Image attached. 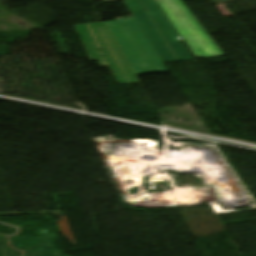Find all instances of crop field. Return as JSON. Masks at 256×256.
<instances>
[{
    "mask_svg": "<svg viewBox=\"0 0 256 256\" xmlns=\"http://www.w3.org/2000/svg\"><path fill=\"white\" fill-rule=\"evenodd\" d=\"M164 63L192 59L154 0H125Z\"/></svg>",
    "mask_w": 256,
    "mask_h": 256,
    "instance_id": "crop-field-1",
    "label": "crop field"
},
{
    "mask_svg": "<svg viewBox=\"0 0 256 256\" xmlns=\"http://www.w3.org/2000/svg\"><path fill=\"white\" fill-rule=\"evenodd\" d=\"M101 48V53L111 68L119 84L139 83L136 75L121 53L114 39L107 30L104 22L89 24ZM91 59H98L101 66H106L98 47L86 24L75 26Z\"/></svg>",
    "mask_w": 256,
    "mask_h": 256,
    "instance_id": "crop-field-3",
    "label": "crop field"
},
{
    "mask_svg": "<svg viewBox=\"0 0 256 256\" xmlns=\"http://www.w3.org/2000/svg\"><path fill=\"white\" fill-rule=\"evenodd\" d=\"M196 58L223 55L181 0H155Z\"/></svg>",
    "mask_w": 256,
    "mask_h": 256,
    "instance_id": "crop-field-4",
    "label": "crop field"
},
{
    "mask_svg": "<svg viewBox=\"0 0 256 256\" xmlns=\"http://www.w3.org/2000/svg\"><path fill=\"white\" fill-rule=\"evenodd\" d=\"M105 1H110V0H105Z\"/></svg>",
    "mask_w": 256,
    "mask_h": 256,
    "instance_id": "crop-field-6",
    "label": "crop field"
},
{
    "mask_svg": "<svg viewBox=\"0 0 256 256\" xmlns=\"http://www.w3.org/2000/svg\"><path fill=\"white\" fill-rule=\"evenodd\" d=\"M213 5L228 2V1H233V0H210Z\"/></svg>",
    "mask_w": 256,
    "mask_h": 256,
    "instance_id": "crop-field-5",
    "label": "crop field"
},
{
    "mask_svg": "<svg viewBox=\"0 0 256 256\" xmlns=\"http://www.w3.org/2000/svg\"><path fill=\"white\" fill-rule=\"evenodd\" d=\"M105 24L135 74L167 70L135 18Z\"/></svg>",
    "mask_w": 256,
    "mask_h": 256,
    "instance_id": "crop-field-2",
    "label": "crop field"
}]
</instances>
